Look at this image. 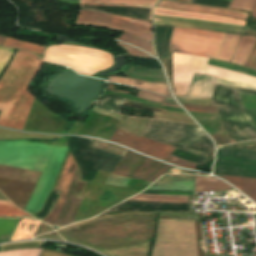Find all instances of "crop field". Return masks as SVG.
I'll list each match as a JSON object with an SVG mask.
<instances>
[{
  "label": "crop field",
  "instance_id": "1",
  "mask_svg": "<svg viewBox=\"0 0 256 256\" xmlns=\"http://www.w3.org/2000/svg\"><path fill=\"white\" fill-rule=\"evenodd\" d=\"M66 138L56 142L0 141V164L42 171L25 207L34 214L41 210L65 158Z\"/></svg>",
  "mask_w": 256,
  "mask_h": 256
},
{
  "label": "crop field",
  "instance_id": "2",
  "mask_svg": "<svg viewBox=\"0 0 256 256\" xmlns=\"http://www.w3.org/2000/svg\"><path fill=\"white\" fill-rule=\"evenodd\" d=\"M42 62L31 53L17 50L0 80V126L23 129L34 98L25 90Z\"/></svg>",
  "mask_w": 256,
  "mask_h": 256
},
{
  "label": "crop field",
  "instance_id": "3",
  "mask_svg": "<svg viewBox=\"0 0 256 256\" xmlns=\"http://www.w3.org/2000/svg\"><path fill=\"white\" fill-rule=\"evenodd\" d=\"M151 256H198L194 220H159Z\"/></svg>",
  "mask_w": 256,
  "mask_h": 256
},
{
  "label": "crop field",
  "instance_id": "4",
  "mask_svg": "<svg viewBox=\"0 0 256 256\" xmlns=\"http://www.w3.org/2000/svg\"><path fill=\"white\" fill-rule=\"evenodd\" d=\"M109 175V172L98 170L93 181L87 182L80 195L84 200L75 221L96 216L114 204L140 192L136 189L104 184Z\"/></svg>",
  "mask_w": 256,
  "mask_h": 256
},
{
  "label": "crop field",
  "instance_id": "5",
  "mask_svg": "<svg viewBox=\"0 0 256 256\" xmlns=\"http://www.w3.org/2000/svg\"><path fill=\"white\" fill-rule=\"evenodd\" d=\"M43 60L68 65L89 75L107 69L114 63L113 57L104 51L69 45L48 46Z\"/></svg>",
  "mask_w": 256,
  "mask_h": 256
},
{
  "label": "crop field",
  "instance_id": "6",
  "mask_svg": "<svg viewBox=\"0 0 256 256\" xmlns=\"http://www.w3.org/2000/svg\"><path fill=\"white\" fill-rule=\"evenodd\" d=\"M225 34L174 28L170 51L217 58Z\"/></svg>",
  "mask_w": 256,
  "mask_h": 256
},
{
  "label": "crop field",
  "instance_id": "7",
  "mask_svg": "<svg viewBox=\"0 0 256 256\" xmlns=\"http://www.w3.org/2000/svg\"><path fill=\"white\" fill-rule=\"evenodd\" d=\"M77 25L115 30L137 36L152 43L150 22L126 18L117 15L80 10L76 19Z\"/></svg>",
  "mask_w": 256,
  "mask_h": 256
},
{
  "label": "crop field",
  "instance_id": "8",
  "mask_svg": "<svg viewBox=\"0 0 256 256\" xmlns=\"http://www.w3.org/2000/svg\"><path fill=\"white\" fill-rule=\"evenodd\" d=\"M170 167L127 150L112 174L154 181Z\"/></svg>",
  "mask_w": 256,
  "mask_h": 256
},
{
  "label": "crop field",
  "instance_id": "9",
  "mask_svg": "<svg viewBox=\"0 0 256 256\" xmlns=\"http://www.w3.org/2000/svg\"><path fill=\"white\" fill-rule=\"evenodd\" d=\"M215 83L236 86L256 91V88L251 86L243 85L214 76L195 73L186 96L175 95V97L180 103L210 106Z\"/></svg>",
  "mask_w": 256,
  "mask_h": 256
},
{
  "label": "crop field",
  "instance_id": "10",
  "mask_svg": "<svg viewBox=\"0 0 256 256\" xmlns=\"http://www.w3.org/2000/svg\"><path fill=\"white\" fill-rule=\"evenodd\" d=\"M207 60L202 57L174 53V94H186L194 72L202 73Z\"/></svg>",
  "mask_w": 256,
  "mask_h": 256
},
{
  "label": "crop field",
  "instance_id": "11",
  "mask_svg": "<svg viewBox=\"0 0 256 256\" xmlns=\"http://www.w3.org/2000/svg\"><path fill=\"white\" fill-rule=\"evenodd\" d=\"M111 141L128 146L138 152L158 158L163 161H165L174 150V147L126 132L119 127L116 129L114 135L111 138Z\"/></svg>",
  "mask_w": 256,
  "mask_h": 256
},
{
  "label": "crop field",
  "instance_id": "12",
  "mask_svg": "<svg viewBox=\"0 0 256 256\" xmlns=\"http://www.w3.org/2000/svg\"><path fill=\"white\" fill-rule=\"evenodd\" d=\"M157 7L208 13V14H213V15L234 17V18H239V19H244V20H246L248 17L247 13L234 11V10H230V9L210 7V6H199V5H194V4H185V3H178V2L165 1V0H161L160 3L157 5Z\"/></svg>",
  "mask_w": 256,
  "mask_h": 256
},
{
  "label": "crop field",
  "instance_id": "13",
  "mask_svg": "<svg viewBox=\"0 0 256 256\" xmlns=\"http://www.w3.org/2000/svg\"><path fill=\"white\" fill-rule=\"evenodd\" d=\"M77 3L79 0H53ZM158 0H80V3L151 11Z\"/></svg>",
  "mask_w": 256,
  "mask_h": 256
},
{
  "label": "crop field",
  "instance_id": "14",
  "mask_svg": "<svg viewBox=\"0 0 256 256\" xmlns=\"http://www.w3.org/2000/svg\"><path fill=\"white\" fill-rule=\"evenodd\" d=\"M196 177H161L148 189L193 191Z\"/></svg>",
  "mask_w": 256,
  "mask_h": 256
},
{
  "label": "crop field",
  "instance_id": "15",
  "mask_svg": "<svg viewBox=\"0 0 256 256\" xmlns=\"http://www.w3.org/2000/svg\"><path fill=\"white\" fill-rule=\"evenodd\" d=\"M217 160L242 164H256V150L221 147L218 149Z\"/></svg>",
  "mask_w": 256,
  "mask_h": 256
},
{
  "label": "crop field",
  "instance_id": "16",
  "mask_svg": "<svg viewBox=\"0 0 256 256\" xmlns=\"http://www.w3.org/2000/svg\"><path fill=\"white\" fill-rule=\"evenodd\" d=\"M154 14L175 16V17H184V18L202 19V20L215 21V22H221V23L237 24V25H242V26L245 25V22H243V21H238V20H234V19H230V18H226V17L200 15V14H192V13H183V12L165 10V9H158V8H155Z\"/></svg>",
  "mask_w": 256,
  "mask_h": 256
},
{
  "label": "crop field",
  "instance_id": "17",
  "mask_svg": "<svg viewBox=\"0 0 256 256\" xmlns=\"http://www.w3.org/2000/svg\"><path fill=\"white\" fill-rule=\"evenodd\" d=\"M215 171L218 174L245 176L256 178V166L216 162Z\"/></svg>",
  "mask_w": 256,
  "mask_h": 256
},
{
  "label": "crop field",
  "instance_id": "18",
  "mask_svg": "<svg viewBox=\"0 0 256 256\" xmlns=\"http://www.w3.org/2000/svg\"><path fill=\"white\" fill-rule=\"evenodd\" d=\"M107 78L109 81L134 86V87H137V88H140L143 90L152 91V92L162 94L166 97H171L167 85L145 83V82H141V81L123 78L121 76H108Z\"/></svg>",
  "mask_w": 256,
  "mask_h": 256
},
{
  "label": "crop field",
  "instance_id": "19",
  "mask_svg": "<svg viewBox=\"0 0 256 256\" xmlns=\"http://www.w3.org/2000/svg\"><path fill=\"white\" fill-rule=\"evenodd\" d=\"M203 73L222 77L225 79H229L232 81H236V82H240L243 84H247V85L256 87V78L246 76L243 74H239L236 72H232V71H228V70H224V69H220V68H216V67L207 65Z\"/></svg>",
  "mask_w": 256,
  "mask_h": 256
},
{
  "label": "crop field",
  "instance_id": "20",
  "mask_svg": "<svg viewBox=\"0 0 256 256\" xmlns=\"http://www.w3.org/2000/svg\"><path fill=\"white\" fill-rule=\"evenodd\" d=\"M154 21H155V24L167 25V26L189 27V28H198V29L222 31V32H233V33L242 32V30H240V29H234V28H228V27H222V26H215V25L186 23V22L170 21V20H163V19H157V18H154Z\"/></svg>",
  "mask_w": 256,
  "mask_h": 256
},
{
  "label": "crop field",
  "instance_id": "21",
  "mask_svg": "<svg viewBox=\"0 0 256 256\" xmlns=\"http://www.w3.org/2000/svg\"><path fill=\"white\" fill-rule=\"evenodd\" d=\"M223 177L256 202V179L229 176Z\"/></svg>",
  "mask_w": 256,
  "mask_h": 256
},
{
  "label": "crop field",
  "instance_id": "22",
  "mask_svg": "<svg viewBox=\"0 0 256 256\" xmlns=\"http://www.w3.org/2000/svg\"><path fill=\"white\" fill-rule=\"evenodd\" d=\"M255 40L256 37L242 36L241 41L231 62L243 66L254 45Z\"/></svg>",
  "mask_w": 256,
  "mask_h": 256
},
{
  "label": "crop field",
  "instance_id": "23",
  "mask_svg": "<svg viewBox=\"0 0 256 256\" xmlns=\"http://www.w3.org/2000/svg\"><path fill=\"white\" fill-rule=\"evenodd\" d=\"M240 37L235 34H226L217 59L230 62L240 41Z\"/></svg>",
  "mask_w": 256,
  "mask_h": 256
},
{
  "label": "crop field",
  "instance_id": "24",
  "mask_svg": "<svg viewBox=\"0 0 256 256\" xmlns=\"http://www.w3.org/2000/svg\"><path fill=\"white\" fill-rule=\"evenodd\" d=\"M38 224H39V221L35 219L25 218L21 220L11 241L32 238L38 227Z\"/></svg>",
  "mask_w": 256,
  "mask_h": 256
},
{
  "label": "crop field",
  "instance_id": "25",
  "mask_svg": "<svg viewBox=\"0 0 256 256\" xmlns=\"http://www.w3.org/2000/svg\"><path fill=\"white\" fill-rule=\"evenodd\" d=\"M231 187L219 180L207 177H197L195 184V192L204 191H221L230 189Z\"/></svg>",
  "mask_w": 256,
  "mask_h": 256
},
{
  "label": "crop field",
  "instance_id": "26",
  "mask_svg": "<svg viewBox=\"0 0 256 256\" xmlns=\"http://www.w3.org/2000/svg\"><path fill=\"white\" fill-rule=\"evenodd\" d=\"M131 200L137 201H150V202H180L187 203V196H160V195H146V194H138L132 198Z\"/></svg>",
  "mask_w": 256,
  "mask_h": 256
},
{
  "label": "crop field",
  "instance_id": "27",
  "mask_svg": "<svg viewBox=\"0 0 256 256\" xmlns=\"http://www.w3.org/2000/svg\"><path fill=\"white\" fill-rule=\"evenodd\" d=\"M207 64L256 77L255 70L248 69V68H245L242 66H238V65H234V64H230V63H226V62H221V61H217V60H211V59L208 60Z\"/></svg>",
  "mask_w": 256,
  "mask_h": 256
},
{
  "label": "crop field",
  "instance_id": "28",
  "mask_svg": "<svg viewBox=\"0 0 256 256\" xmlns=\"http://www.w3.org/2000/svg\"><path fill=\"white\" fill-rule=\"evenodd\" d=\"M4 45L9 46V47L24 48L26 50H30V51H33V52L39 53V54H42L43 49H44L43 45H38V44H34V43L19 41V40L10 39V38H7Z\"/></svg>",
  "mask_w": 256,
  "mask_h": 256
},
{
  "label": "crop field",
  "instance_id": "29",
  "mask_svg": "<svg viewBox=\"0 0 256 256\" xmlns=\"http://www.w3.org/2000/svg\"><path fill=\"white\" fill-rule=\"evenodd\" d=\"M153 113H154V119H157V120H164V121H171V122H178V123L196 125L194 123V121L191 118H188V117L176 116V115L160 113V112H155V111H153Z\"/></svg>",
  "mask_w": 256,
  "mask_h": 256
},
{
  "label": "crop field",
  "instance_id": "30",
  "mask_svg": "<svg viewBox=\"0 0 256 256\" xmlns=\"http://www.w3.org/2000/svg\"><path fill=\"white\" fill-rule=\"evenodd\" d=\"M117 39H119L121 41H124L126 43H129V44L138 46V47L144 49L145 51L155 55L152 45L150 43L146 42V41H143L141 39L134 38V37H131V36H128V35H124V34L117 37Z\"/></svg>",
  "mask_w": 256,
  "mask_h": 256
},
{
  "label": "crop field",
  "instance_id": "31",
  "mask_svg": "<svg viewBox=\"0 0 256 256\" xmlns=\"http://www.w3.org/2000/svg\"><path fill=\"white\" fill-rule=\"evenodd\" d=\"M16 219H2L0 218V235L10 234L13 229L14 223ZM9 235L0 236V242H4L7 240Z\"/></svg>",
  "mask_w": 256,
  "mask_h": 256
},
{
  "label": "crop field",
  "instance_id": "32",
  "mask_svg": "<svg viewBox=\"0 0 256 256\" xmlns=\"http://www.w3.org/2000/svg\"><path fill=\"white\" fill-rule=\"evenodd\" d=\"M256 0H233L229 6L230 9L251 12Z\"/></svg>",
  "mask_w": 256,
  "mask_h": 256
},
{
  "label": "crop field",
  "instance_id": "33",
  "mask_svg": "<svg viewBox=\"0 0 256 256\" xmlns=\"http://www.w3.org/2000/svg\"><path fill=\"white\" fill-rule=\"evenodd\" d=\"M93 147L100 148V149H103L105 151L115 153V154H119V155H122V156L126 152V149H123L121 147L115 146V145L110 144V143L98 141V140H95V142L93 144Z\"/></svg>",
  "mask_w": 256,
  "mask_h": 256
},
{
  "label": "crop field",
  "instance_id": "34",
  "mask_svg": "<svg viewBox=\"0 0 256 256\" xmlns=\"http://www.w3.org/2000/svg\"><path fill=\"white\" fill-rule=\"evenodd\" d=\"M6 202L10 204L8 201ZM6 202L0 201V204L8 205ZM3 205H0V215H4V216H27L28 215L18 210L11 204H10L11 206H3Z\"/></svg>",
  "mask_w": 256,
  "mask_h": 256
},
{
  "label": "crop field",
  "instance_id": "35",
  "mask_svg": "<svg viewBox=\"0 0 256 256\" xmlns=\"http://www.w3.org/2000/svg\"><path fill=\"white\" fill-rule=\"evenodd\" d=\"M40 249H26L13 252L0 253V256H37Z\"/></svg>",
  "mask_w": 256,
  "mask_h": 256
},
{
  "label": "crop field",
  "instance_id": "36",
  "mask_svg": "<svg viewBox=\"0 0 256 256\" xmlns=\"http://www.w3.org/2000/svg\"><path fill=\"white\" fill-rule=\"evenodd\" d=\"M137 98H141V99H145V100H149V101L161 104L165 97L141 90Z\"/></svg>",
  "mask_w": 256,
  "mask_h": 256
},
{
  "label": "crop field",
  "instance_id": "37",
  "mask_svg": "<svg viewBox=\"0 0 256 256\" xmlns=\"http://www.w3.org/2000/svg\"><path fill=\"white\" fill-rule=\"evenodd\" d=\"M14 50L0 47V72L11 57Z\"/></svg>",
  "mask_w": 256,
  "mask_h": 256
},
{
  "label": "crop field",
  "instance_id": "38",
  "mask_svg": "<svg viewBox=\"0 0 256 256\" xmlns=\"http://www.w3.org/2000/svg\"><path fill=\"white\" fill-rule=\"evenodd\" d=\"M117 44L121 47L124 48V50L128 53L129 56H137V57H149V58H152L151 56L141 52L140 50L138 49H135V48H132L126 44H123V43H120V42H117Z\"/></svg>",
  "mask_w": 256,
  "mask_h": 256
},
{
  "label": "crop field",
  "instance_id": "39",
  "mask_svg": "<svg viewBox=\"0 0 256 256\" xmlns=\"http://www.w3.org/2000/svg\"><path fill=\"white\" fill-rule=\"evenodd\" d=\"M239 94L245 108L256 109V96L241 93Z\"/></svg>",
  "mask_w": 256,
  "mask_h": 256
},
{
  "label": "crop field",
  "instance_id": "40",
  "mask_svg": "<svg viewBox=\"0 0 256 256\" xmlns=\"http://www.w3.org/2000/svg\"><path fill=\"white\" fill-rule=\"evenodd\" d=\"M167 162H170L172 164L181 166L183 168H188V169H194V167L196 166V163H192V162L182 160V159L172 157V156H170V158L168 159Z\"/></svg>",
  "mask_w": 256,
  "mask_h": 256
},
{
  "label": "crop field",
  "instance_id": "41",
  "mask_svg": "<svg viewBox=\"0 0 256 256\" xmlns=\"http://www.w3.org/2000/svg\"><path fill=\"white\" fill-rule=\"evenodd\" d=\"M182 105L188 111L218 114L215 107L190 106V105H184V104Z\"/></svg>",
  "mask_w": 256,
  "mask_h": 256
},
{
  "label": "crop field",
  "instance_id": "42",
  "mask_svg": "<svg viewBox=\"0 0 256 256\" xmlns=\"http://www.w3.org/2000/svg\"><path fill=\"white\" fill-rule=\"evenodd\" d=\"M154 17L172 19V20H180V21H187V22H195V23L217 24V25H226V26L244 28L242 26H237V25L221 24V23L208 22V21H202V20L182 19V18H173V17H165V16H157V15H154Z\"/></svg>",
  "mask_w": 256,
  "mask_h": 256
},
{
  "label": "crop field",
  "instance_id": "43",
  "mask_svg": "<svg viewBox=\"0 0 256 256\" xmlns=\"http://www.w3.org/2000/svg\"><path fill=\"white\" fill-rule=\"evenodd\" d=\"M128 179L129 178H126V177H118V176L110 175L106 183L125 187Z\"/></svg>",
  "mask_w": 256,
  "mask_h": 256
},
{
  "label": "crop field",
  "instance_id": "44",
  "mask_svg": "<svg viewBox=\"0 0 256 256\" xmlns=\"http://www.w3.org/2000/svg\"><path fill=\"white\" fill-rule=\"evenodd\" d=\"M245 67L252 68L256 70V42L252 49V52L245 64Z\"/></svg>",
  "mask_w": 256,
  "mask_h": 256
},
{
  "label": "crop field",
  "instance_id": "45",
  "mask_svg": "<svg viewBox=\"0 0 256 256\" xmlns=\"http://www.w3.org/2000/svg\"><path fill=\"white\" fill-rule=\"evenodd\" d=\"M40 256H69V255H66V254L60 253V252L43 249Z\"/></svg>",
  "mask_w": 256,
  "mask_h": 256
},
{
  "label": "crop field",
  "instance_id": "46",
  "mask_svg": "<svg viewBox=\"0 0 256 256\" xmlns=\"http://www.w3.org/2000/svg\"><path fill=\"white\" fill-rule=\"evenodd\" d=\"M142 193H157V194H185V195H193V193H181V192H157V191H144Z\"/></svg>",
  "mask_w": 256,
  "mask_h": 256
},
{
  "label": "crop field",
  "instance_id": "47",
  "mask_svg": "<svg viewBox=\"0 0 256 256\" xmlns=\"http://www.w3.org/2000/svg\"><path fill=\"white\" fill-rule=\"evenodd\" d=\"M245 111L247 112V114L251 117V119L256 124V110L245 109Z\"/></svg>",
  "mask_w": 256,
  "mask_h": 256
},
{
  "label": "crop field",
  "instance_id": "48",
  "mask_svg": "<svg viewBox=\"0 0 256 256\" xmlns=\"http://www.w3.org/2000/svg\"><path fill=\"white\" fill-rule=\"evenodd\" d=\"M162 105L180 108L175 102H173V101H171V100H169L167 98H165V100H164Z\"/></svg>",
  "mask_w": 256,
  "mask_h": 256
},
{
  "label": "crop field",
  "instance_id": "49",
  "mask_svg": "<svg viewBox=\"0 0 256 256\" xmlns=\"http://www.w3.org/2000/svg\"><path fill=\"white\" fill-rule=\"evenodd\" d=\"M252 17H256V6H255V8H254V10H253V12H252V15H251Z\"/></svg>",
  "mask_w": 256,
  "mask_h": 256
},
{
  "label": "crop field",
  "instance_id": "50",
  "mask_svg": "<svg viewBox=\"0 0 256 256\" xmlns=\"http://www.w3.org/2000/svg\"><path fill=\"white\" fill-rule=\"evenodd\" d=\"M4 39H5V38L0 37V45H2V44H3Z\"/></svg>",
  "mask_w": 256,
  "mask_h": 256
},
{
  "label": "crop field",
  "instance_id": "51",
  "mask_svg": "<svg viewBox=\"0 0 256 256\" xmlns=\"http://www.w3.org/2000/svg\"><path fill=\"white\" fill-rule=\"evenodd\" d=\"M231 110V109H230ZM232 112V111H231ZM233 113V112H232ZM234 115V114H233ZM220 116V115H219ZM235 116V115H234ZM221 119V118H220ZM222 121V120H221ZM223 124V123H222ZM224 126V125H223ZM242 126V125H241ZM243 127V126H242ZM225 129V128H224ZM229 130V129H228ZM245 130V129H244ZM226 131V130H225Z\"/></svg>",
  "mask_w": 256,
  "mask_h": 256
}]
</instances>
